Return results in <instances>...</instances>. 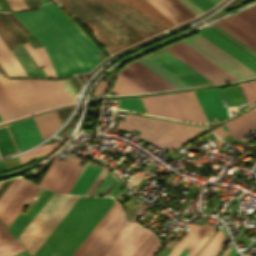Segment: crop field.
<instances>
[{
	"label": "crop field",
	"mask_w": 256,
	"mask_h": 256,
	"mask_svg": "<svg viewBox=\"0 0 256 256\" xmlns=\"http://www.w3.org/2000/svg\"><path fill=\"white\" fill-rule=\"evenodd\" d=\"M11 14L45 47L58 76L90 71L102 61L96 45L52 3Z\"/></svg>",
	"instance_id": "crop-field-1"
},
{
	"label": "crop field",
	"mask_w": 256,
	"mask_h": 256,
	"mask_svg": "<svg viewBox=\"0 0 256 256\" xmlns=\"http://www.w3.org/2000/svg\"><path fill=\"white\" fill-rule=\"evenodd\" d=\"M86 23L111 52L165 27L138 0H57Z\"/></svg>",
	"instance_id": "crop-field-2"
},
{
	"label": "crop field",
	"mask_w": 256,
	"mask_h": 256,
	"mask_svg": "<svg viewBox=\"0 0 256 256\" xmlns=\"http://www.w3.org/2000/svg\"><path fill=\"white\" fill-rule=\"evenodd\" d=\"M114 202L81 196L34 256H71Z\"/></svg>",
	"instance_id": "crop-field-3"
},
{
	"label": "crop field",
	"mask_w": 256,
	"mask_h": 256,
	"mask_svg": "<svg viewBox=\"0 0 256 256\" xmlns=\"http://www.w3.org/2000/svg\"><path fill=\"white\" fill-rule=\"evenodd\" d=\"M136 127L137 130L142 131L138 136L167 152L175 150L179 145L195 137L194 133L206 128L130 114H128L125 122L119 121L116 128L130 131Z\"/></svg>",
	"instance_id": "crop-field-4"
},
{
	"label": "crop field",
	"mask_w": 256,
	"mask_h": 256,
	"mask_svg": "<svg viewBox=\"0 0 256 256\" xmlns=\"http://www.w3.org/2000/svg\"><path fill=\"white\" fill-rule=\"evenodd\" d=\"M11 82L31 113L70 102L58 81L11 80Z\"/></svg>",
	"instance_id": "crop-field-5"
},
{
	"label": "crop field",
	"mask_w": 256,
	"mask_h": 256,
	"mask_svg": "<svg viewBox=\"0 0 256 256\" xmlns=\"http://www.w3.org/2000/svg\"><path fill=\"white\" fill-rule=\"evenodd\" d=\"M189 47L210 60L222 70L239 80L251 76H256L251 70L230 57L228 54L217 48L215 45L198 35L184 41Z\"/></svg>",
	"instance_id": "crop-field-6"
},
{
	"label": "crop field",
	"mask_w": 256,
	"mask_h": 256,
	"mask_svg": "<svg viewBox=\"0 0 256 256\" xmlns=\"http://www.w3.org/2000/svg\"><path fill=\"white\" fill-rule=\"evenodd\" d=\"M165 49L214 83L235 80L182 42Z\"/></svg>",
	"instance_id": "crop-field-7"
},
{
	"label": "crop field",
	"mask_w": 256,
	"mask_h": 256,
	"mask_svg": "<svg viewBox=\"0 0 256 256\" xmlns=\"http://www.w3.org/2000/svg\"><path fill=\"white\" fill-rule=\"evenodd\" d=\"M119 73L147 92L176 88L138 61L128 64Z\"/></svg>",
	"instance_id": "crop-field-8"
},
{
	"label": "crop field",
	"mask_w": 256,
	"mask_h": 256,
	"mask_svg": "<svg viewBox=\"0 0 256 256\" xmlns=\"http://www.w3.org/2000/svg\"><path fill=\"white\" fill-rule=\"evenodd\" d=\"M68 196L54 193L17 238L27 249Z\"/></svg>",
	"instance_id": "crop-field-9"
},
{
	"label": "crop field",
	"mask_w": 256,
	"mask_h": 256,
	"mask_svg": "<svg viewBox=\"0 0 256 256\" xmlns=\"http://www.w3.org/2000/svg\"><path fill=\"white\" fill-rule=\"evenodd\" d=\"M129 223H125L121 209L115 214L83 256H103Z\"/></svg>",
	"instance_id": "crop-field-10"
},
{
	"label": "crop field",
	"mask_w": 256,
	"mask_h": 256,
	"mask_svg": "<svg viewBox=\"0 0 256 256\" xmlns=\"http://www.w3.org/2000/svg\"><path fill=\"white\" fill-rule=\"evenodd\" d=\"M164 51V49L157 51L150 56H153L159 52ZM152 60L169 70L171 73L182 79L188 84L192 83H200V82H208L209 80L188 67L186 64L169 54L168 52L164 51L156 56L150 57ZM207 84H213L212 82L208 83H200V84H192L191 86H197V85H207Z\"/></svg>",
	"instance_id": "crop-field-11"
},
{
	"label": "crop field",
	"mask_w": 256,
	"mask_h": 256,
	"mask_svg": "<svg viewBox=\"0 0 256 256\" xmlns=\"http://www.w3.org/2000/svg\"><path fill=\"white\" fill-rule=\"evenodd\" d=\"M148 114L186 121L173 94L141 98Z\"/></svg>",
	"instance_id": "crop-field-12"
},
{
	"label": "crop field",
	"mask_w": 256,
	"mask_h": 256,
	"mask_svg": "<svg viewBox=\"0 0 256 256\" xmlns=\"http://www.w3.org/2000/svg\"><path fill=\"white\" fill-rule=\"evenodd\" d=\"M211 226L204 223L203 226L193 224L182 240L176 245L168 256H179L184 248L191 250L187 256H193L209 239L212 233L216 230L217 226ZM214 228V229H213ZM210 229V230H209ZM213 231L211 232V230ZM209 230V231H208ZM208 231V233H207ZM211 232V233H210ZM207 233V236L205 235Z\"/></svg>",
	"instance_id": "crop-field-13"
},
{
	"label": "crop field",
	"mask_w": 256,
	"mask_h": 256,
	"mask_svg": "<svg viewBox=\"0 0 256 256\" xmlns=\"http://www.w3.org/2000/svg\"><path fill=\"white\" fill-rule=\"evenodd\" d=\"M209 122L229 117L215 88L194 91Z\"/></svg>",
	"instance_id": "crop-field-14"
},
{
	"label": "crop field",
	"mask_w": 256,
	"mask_h": 256,
	"mask_svg": "<svg viewBox=\"0 0 256 256\" xmlns=\"http://www.w3.org/2000/svg\"><path fill=\"white\" fill-rule=\"evenodd\" d=\"M200 35L256 73V61L254 59L212 31L210 28H204Z\"/></svg>",
	"instance_id": "crop-field-15"
},
{
	"label": "crop field",
	"mask_w": 256,
	"mask_h": 256,
	"mask_svg": "<svg viewBox=\"0 0 256 256\" xmlns=\"http://www.w3.org/2000/svg\"><path fill=\"white\" fill-rule=\"evenodd\" d=\"M175 25L195 17L177 0H147Z\"/></svg>",
	"instance_id": "crop-field-16"
},
{
	"label": "crop field",
	"mask_w": 256,
	"mask_h": 256,
	"mask_svg": "<svg viewBox=\"0 0 256 256\" xmlns=\"http://www.w3.org/2000/svg\"><path fill=\"white\" fill-rule=\"evenodd\" d=\"M149 233L135 223L110 256H132Z\"/></svg>",
	"instance_id": "crop-field-17"
},
{
	"label": "crop field",
	"mask_w": 256,
	"mask_h": 256,
	"mask_svg": "<svg viewBox=\"0 0 256 256\" xmlns=\"http://www.w3.org/2000/svg\"><path fill=\"white\" fill-rule=\"evenodd\" d=\"M37 189L38 187L34 186L32 183L28 181L26 182L23 188L0 216V220L5 226H9V224L13 221V219L17 216V214L21 211Z\"/></svg>",
	"instance_id": "crop-field-18"
},
{
	"label": "crop field",
	"mask_w": 256,
	"mask_h": 256,
	"mask_svg": "<svg viewBox=\"0 0 256 256\" xmlns=\"http://www.w3.org/2000/svg\"><path fill=\"white\" fill-rule=\"evenodd\" d=\"M79 197L80 196H69L64 204L60 207V209L56 212V214L52 217L49 223L27 249L32 256L54 230V228L59 224V222L63 219V217L67 214V212L71 209V207L75 204V202L79 199Z\"/></svg>",
	"instance_id": "crop-field-19"
},
{
	"label": "crop field",
	"mask_w": 256,
	"mask_h": 256,
	"mask_svg": "<svg viewBox=\"0 0 256 256\" xmlns=\"http://www.w3.org/2000/svg\"><path fill=\"white\" fill-rule=\"evenodd\" d=\"M10 126L22 150L42 140L32 118Z\"/></svg>",
	"instance_id": "crop-field-20"
},
{
	"label": "crop field",
	"mask_w": 256,
	"mask_h": 256,
	"mask_svg": "<svg viewBox=\"0 0 256 256\" xmlns=\"http://www.w3.org/2000/svg\"><path fill=\"white\" fill-rule=\"evenodd\" d=\"M240 13L256 24V5ZM241 14L237 13L223 20H225L226 22L234 26L236 29H238L239 31H241L242 33L256 41V25L248 19H246Z\"/></svg>",
	"instance_id": "crop-field-21"
},
{
	"label": "crop field",
	"mask_w": 256,
	"mask_h": 256,
	"mask_svg": "<svg viewBox=\"0 0 256 256\" xmlns=\"http://www.w3.org/2000/svg\"><path fill=\"white\" fill-rule=\"evenodd\" d=\"M186 118L190 122H207L192 91L175 94Z\"/></svg>",
	"instance_id": "crop-field-22"
},
{
	"label": "crop field",
	"mask_w": 256,
	"mask_h": 256,
	"mask_svg": "<svg viewBox=\"0 0 256 256\" xmlns=\"http://www.w3.org/2000/svg\"><path fill=\"white\" fill-rule=\"evenodd\" d=\"M0 92L9 104L16 117L30 114V111L15 90L10 80L2 76H0Z\"/></svg>",
	"instance_id": "crop-field-23"
},
{
	"label": "crop field",
	"mask_w": 256,
	"mask_h": 256,
	"mask_svg": "<svg viewBox=\"0 0 256 256\" xmlns=\"http://www.w3.org/2000/svg\"><path fill=\"white\" fill-rule=\"evenodd\" d=\"M52 194L53 192L46 190L27 215L21 213L18 214L12 224L8 227L16 238L33 219L37 212L42 208V206L47 202V200L52 196Z\"/></svg>",
	"instance_id": "crop-field-24"
},
{
	"label": "crop field",
	"mask_w": 256,
	"mask_h": 256,
	"mask_svg": "<svg viewBox=\"0 0 256 256\" xmlns=\"http://www.w3.org/2000/svg\"><path fill=\"white\" fill-rule=\"evenodd\" d=\"M0 65L8 76H27L24 69L0 36Z\"/></svg>",
	"instance_id": "crop-field-25"
},
{
	"label": "crop field",
	"mask_w": 256,
	"mask_h": 256,
	"mask_svg": "<svg viewBox=\"0 0 256 256\" xmlns=\"http://www.w3.org/2000/svg\"><path fill=\"white\" fill-rule=\"evenodd\" d=\"M21 151L9 125L0 127V156H8Z\"/></svg>",
	"instance_id": "crop-field-26"
},
{
	"label": "crop field",
	"mask_w": 256,
	"mask_h": 256,
	"mask_svg": "<svg viewBox=\"0 0 256 256\" xmlns=\"http://www.w3.org/2000/svg\"><path fill=\"white\" fill-rule=\"evenodd\" d=\"M89 165L97 166L99 165L95 162H89ZM87 165L86 169L82 173L81 177L77 181V183L74 185L72 190L69 192V194H82L86 192L92 181L95 179L99 171L101 170V167H93Z\"/></svg>",
	"instance_id": "crop-field-27"
},
{
	"label": "crop field",
	"mask_w": 256,
	"mask_h": 256,
	"mask_svg": "<svg viewBox=\"0 0 256 256\" xmlns=\"http://www.w3.org/2000/svg\"><path fill=\"white\" fill-rule=\"evenodd\" d=\"M33 119L43 139L61 125L55 112L37 116Z\"/></svg>",
	"instance_id": "crop-field-28"
},
{
	"label": "crop field",
	"mask_w": 256,
	"mask_h": 256,
	"mask_svg": "<svg viewBox=\"0 0 256 256\" xmlns=\"http://www.w3.org/2000/svg\"><path fill=\"white\" fill-rule=\"evenodd\" d=\"M139 61L144 65H146L151 70H153L154 72H156L157 74H159L160 76H162L163 78H165L166 80H168L170 83H172L176 87L178 88L189 87L188 84H186L185 82H183L182 80H180L179 78H177L176 76H174L173 74H171L170 72H168L167 70H165L164 68L156 64L155 62H153L152 60H150L149 58L145 57Z\"/></svg>",
	"instance_id": "crop-field-29"
},
{
	"label": "crop field",
	"mask_w": 256,
	"mask_h": 256,
	"mask_svg": "<svg viewBox=\"0 0 256 256\" xmlns=\"http://www.w3.org/2000/svg\"><path fill=\"white\" fill-rule=\"evenodd\" d=\"M2 182H0V185L2 184ZM25 182H26V180L15 178L14 181L10 184V186L1 195V197H0V214L7 207V205L11 202V200L18 193V191L22 188V186L25 184Z\"/></svg>",
	"instance_id": "crop-field-30"
},
{
	"label": "crop field",
	"mask_w": 256,
	"mask_h": 256,
	"mask_svg": "<svg viewBox=\"0 0 256 256\" xmlns=\"http://www.w3.org/2000/svg\"><path fill=\"white\" fill-rule=\"evenodd\" d=\"M116 204H117V203L115 202L114 205L109 209V211L105 214V216H104V217L101 219V221L96 225V227L92 230V232L88 235V237L83 241V243L79 246V248L75 251V253H74L72 256H75V255L79 252V250L83 247V245L87 242V240L91 237V235L95 232V230L99 227V225L103 222V220L107 217V215L111 212V210L115 207ZM117 206H118V204L116 205V207H117ZM116 207L112 210V212L116 209ZM119 208H120V207L118 206L117 209L113 212V214H112V212H111V213L108 215V217H109V216L112 214L109 218L107 217L108 220H107V218L104 220V222H105L106 220H107V221H106L105 223L103 222L104 225H103V223L100 225V227H101L102 225H103V226H102L101 228L99 227L100 230H99V228L96 230V232H97L98 230H99V231H98L97 233L95 232L96 234L94 233L95 236H94V234L92 235V237H93V236H94V237H93V238L91 237L92 239L90 238L91 241H90V239L88 240V242H89V241H90V242H89V243L87 242L88 244L86 243L87 246H86V244L84 245V247H85V246H86V247H85V248L83 247L84 249L82 248L83 251H82V249L80 250V252H81V251H82V252H81V253L79 252L80 254L78 253V254H79V255L77 254L78 256H82V254L86 251V249L90 246V244L94 241V239L98 236V234L102 231V229L106 226V224L110 221V219L114 216V214L118 211ZM77 255H76V256H77Z\"/></svg>",
	"instance_id": "crop-field-31"
},
{
	"label": "crop field",
	"mask_w": 256,
	"mask_h": 256,
	"mask_svg": "<svg viewBox=\"0 0 256 256\" xmlns=\"http://www.w3.org/2000/svg\"><path fill=\"white\" fill-rule=\"evenodd\" d=\"M117 94H132L145 92L140 87L126 79L121 74H118L114 87L112 89Z\"/></svg>",
	"instance_id": "crop-field-32"
},
{
	"label": "crop field",
	"mask_w": 256,
	"mask_h": 256,
	"mask_svg": "<svg viewBox=\"0 0 256 256\" xmlns=\"http://www.w3.org/2000/svg\"><path fill=\"white\" fill-rule=\"evenodd\" d=\"M215 24L256 52V43L253 40L239 32L223 20Z\"/></svg>",
	"instance_id": "crop-field-33"
},
{
	"label": "crop field",
	"mask_w": 256,
	"mask_h": 256,
	"mask_svg": "<svg viewBox=\"0 0 256 256\" xmlns=\"http://www.w3.org/2000/svg\"><path fill=\"white\" fill-rule=\"evenodd\" d=\"M224 125L231 132L229 134L232 135L237 140L243 137L245 134H247L251 130H253L238 117Z\"/></svg>",
	"instance_id": "crop-field-34"
},
{
	"label": "crop field",
	"mask_w": 256,
	"mask_h": 256,
	"mask_svg": "<svg viewBox=\"0 0 256 256\" xmlns=\"http://www.w3.org/2000/svg\"><path fill=\"white\" fill-rule=\"evenodd\" d=\"M14 55L17 57L19 62L24 67L28 76H39L33 62L29 59V57L24 53L20 46L11 49Z\"/></svg>",
	"instance_id": "crop-field-35"
},
{
	"label": "crop field",
	"mask_w": 256,
	"mask_h": 256,
	"mask_svg": "<svg viewBox=\"0 0 256 256\" xmlns=\"http://www.w3.org/2000/svg\"><path fill=\"white\" fill-rule=\"evenodd\" d=\"M159 247L156 237L151 233L134 256H153Z\"/></svg>",
	"instance_id": "crop-field-36"
},
{
	"label": "crop field",
	"mask_w": 256,
	"mask_h": 256,
	"mask_svg": "<svg viewBox=\"0 0 256 256\" xmlns=\"http://www.w3.org/2000/svg\"><path fill=\"white\" fill-rule=\"evenodd\" d=\"M63 164H64L63 161L54 159L53 163L51 164L43 180L40 182L39 186L49 189L55 177L57 176L58 172L60 171L61 167L63 166Z\"/></svg>",
	"instance_id": "crop-field-37"
},
{
	"label": "crop field",
	"mask_w": 256,
	"mask_h": 256,
	"mask_svg": "<svg viewBox=\"0 0 256 256\" xmlns=\"http://www.w3.org/2000/svg\"><path fill=\"white\" fill-rule=\"evenodd\" d=\"M21 251L24 249L16 240L0 245V256H10Z\"/></svg>",
	"instance_id": "crop-field-38"
},
{
	"label": "crop field",
	"mask_w": 256,
	"mask_h": 256,
	"mask_svg": "<svg viewBox=\"0 0 256 256\" xmlns=\"http://www.w3.org/2000/svg\"><path fill=\"white\" fill-rule=\"evenodd\" d=\"M240 87L249 103L252 104L256 102V81L240 84Z\"/></svg>",
	"instance_id": "crop-field-39"
},
{
	"label": "crop field",
	"mask_w": 256,
	"mask_h": 256,
	"mask_svg": "<svg viewBox=\"0 0 256 256\" xmlns=\"http://www.w3.org/2000/svg\"><path fill=\"white\" fill-rule=\"evenodd\" d=\"M223 234L220 230L212 237V239L207 243V245L202 249L198 256H209L218 243L222 240Z\"/></svg>",
	"instance_id": "crop-field-40"
},
{
	"label": "crop field",
	"mask_w": 256,
	"mask_h": 256,
	"mask_svg": "<svg viewBox=\"0 0 256 256\" xmlns=\"http://www.w3.org/2000/svg\"><path fill=\"white\" fill-rule=\"evenodd\" d=\"M119 107L146 113L139 98L122 99Z\"/></svg>",
	"instance_id": "crop-field-41"
},
{
	"label": "crop field",
	"mask_w": 256,
	"mask_h": 256,
	"mask_svg": "<svg viewBox=\"0 0 256 256\" xmlns=\"http://www.w3.org/2000/svg\"><path fill=\"white\" fill-rule=\"evenodd\" d=\"M209 27H211L212 29H214L215 31H217L218 33H220L221 35L226 37L228 40H230L231 42H233L234 44H236L237 46H239L240 48H242L243 50H245L246 52H248L249 54H251L252 56H254L256 58V53L254 51H252L251 49L246 47L244 44H242L241 42H239L238 40H236L235 38H233L232 36H230L229 34L224 32L222 29H220L216 25L213 24Z\"/></svg>",
	"instance_id": "crop-field-42"
},
{
	"label": "crop field",
	"mask_w": 256,
	"mask_h": 256,
	"mask_svg": "<svg viewBox=\"0 0 256 256\" xmlns=\"http://www.w3.org/2000/svg\"><path fill=\"white\" fill-rule=\"evenodd\" d=\"M18 157H19L20 162H21L22 165L29 162L34 157L37 158L38 160L44 158L40 147H37V148H35V149H33V150L23 154V155H19Z\"/></svg>",
	"instance_id": "crop-field-43"
},
{
	"label": "crop field",
	"mask_w": 256,
	"mask_h": 256,
	"mask_svg": "<svg viewBox=\"0 0 256 256\" xmlns=\"http://www.w3.org/2000/svg\"><path fill=\"white\" fill-rule=\"evenodd\" d=\"M0 19L7 27V29L10 31V33L13 35L18 44L26 41L22 34L5 18V16L2 13H0Z\"/></svg>",
	"instance_id": "crop-field-44"
},
{
	"label": "crop field",
	"mask_w": 256,
	"mask_h": 256,
	"mask_svg": "<svg viewBox=\"0 0 256 256\" xmlns=\"http://www.w3.org/2000/svg\"><path fill=\"white\" fill-rule=\"evenodd\" d=\"M0 116L3 119V121L10 120L15 118V115L9 108L8 104L0 94Z\"/></svg>",
	"instance_id": "crop-field-45"
},
{
	"label": "crop field",
	"mask_w": 256,
	"mask_h": 256,
	"mask_svg": "<svg viewBox=\"0 0 256 256\" xmlns=\"http://www.w3.org/2000/svg\"><path fill=\"white\" fill-rule=\"evenodd\" d=\"M107 170L105 169V166L103 167L102 171L99 173L95 181L92 183L88 191L85 193V195H92V193L95 191L97 186L100 184L104 176L107 174Z\"/></svg>",
	"instance_id": "crop-field-46"
},
{
	"label": "crop field",
	"mask_w": 256,
	"mask_h": 256,
	"mask_svg": "<svg viewBox=\"0 0 256 256\" xmlns=\"http://www.w3.org/2000/svg\"><path fill=\"white\" fill-rule=\"evenodd\" d=\"M6 1H7L8 6L12 10H22V9L27 8V6L23 0H6Z\"/></svg>",
	"instance_id": "crop-field-47"
},
{
	"label": "crop field",
	"mask_w": 256,
	"mask_h": 256,
	"mask_svg": "<svg viewBox=\"0 0 256 256\" xmlns=\"http://www.w3.org/2000/svg\"><path fill=\"white\" fill-rule=\"evenodd\" d=\"M0 26L2 27V29L6 32V34L9 36V38L11 39L12 43L17 46V42L14 40V38L11 36V34L9 33V31L6 29V27L3 25V23L0 20ZM0 27V33L2 34V36L5 38V40L8 42V44L11 46V48L15 47L11 41L9 40L8 36L5 34V32L1 29Z\"/></svg>",
	"instance_id": "crop-field-48"
},
{
	"label": "crop field",
	"mask_w": 256,
	"mask_h": 256,
	"mask_svg": "<svg viewBox=\"0 0 256 256\" xmlns=\"http://www.w3.org/2000/svg\"><path fill=\"white\" fill-rule=\"evenodd\" d=\"M194 2L198 7H200L204 12L216 5L211 0H191Z\"/></svg>",
	"instance_id": "crop-field-49"
},
{
	"label": "crop field",
	"mask_w": 256,
	"mask_h": 256,
	"mask_svg": "<svg viewBox=\"0 0 256 256\" xmlns=\"http://www.w3.org/2000/svg\"><path fill=\"white\" fill-rule=\"evenodd\" d=\"M140 1L143 4H145L149 9H151L155 14H157L161 19H163L167 24H169L171 27L175 26L167 18H165L160 12H158L154 7H152L147 1L145 0H140Z\"/></svg>",
	"instance_id": "crop-field-50"
},
{
	"label": "crop field",
	"mask_w": 256,
	"mask_h": 256,
	"mask_svg": "<svg viewBox=\"0 0 256 256\" xmlns=\"http://www.w3.org/2000/svg\"><path fill=\"white\" fill-rule=\"evenodd\" d=\"M63 141H59V142H56V143H53V144H48V145L41 146L42 151L44 153V156L48 155L51 151H53Z\"/></svg>",
	"instance_id": "crop-field-51"
},
{
	"label": "crop field",
	"mask_w": 256,
	"mask_h": 256,
	"mask_svg": "<svg viewBox=\"0 0 256 256\" xmlns=\"http://www.w3.org/2000/svg\"><path fill=\"white\" fill-rule=\"evenodd\" d=\"M133 224L134 223L129 224V226L125 229V231L120 235V237L116 240V242L112 245V247L108 250V252L104 256H109V254L113 251V249L117 246V244L121 241V239L129 231V229L133 226Z\"/></svg>",
	"instance_id": "crop-field-52"
},
{
	"label": "crop field",
	"mask_w": 256,
	"mask_h": 256,
	"mask_svg": "<svg viewBox=\"0 0 256 256\" xmlns=\"http://www.w3.org/2000/svg\"><path fill=\"white\" fill-rule=\"evenodd\" d=\"M184 4H186L191 10H193L196 14L203 13L195 4H193L190 0H181Z\"/></svg>",
	"instance_id": "crop-field-53"
},
{
	"label": "crop field",
	"mask_w": 256,
	"mask_h": 256,
	"mask_svg": "<svg viewBox=\"0 0 256 256\" xmlns=\"http://www.w3.org/2000/svg\"><path fill=\"white\" fill-rule=\"evenodd\" d=\"M147 171V169H145L140 175L135 174L127 183L128 185H130L131 187L135 184H137V182L141 179V177L145 174V172Z\"/></svg>",
	"instance_id": "crop-field-54"
},
{
	"label": "crop field",
	"mask_w": 256,
	"mask_h": 256,
	"mask_svg": "<svg viewBox=\"0 0 256 256\" xmlns=\"http://www.w3.org/2000/svg\"><path fill=\"white\" fill-rule=\"evenodd\" d=\"M18 27L19 29L25 34H30V32L28 30H26L21 24L19 21H17L10 13H7L6 14Z\"/></svg>",
	"instance_id": "crop-field-55"
},
{
	"label": "crop field",
	"mask_w": 256,
	"mask_h": 256,
	"mask_svg": "<svg viewBox=\"0 0 256 256\" xmlns=\"http://www.w3.org/2000/svg\"><path fill=\"white\" fill-rule=\"evenodd\" d=\"M27 37H28V39L30 40V41H28V42L31 44V46H32L33 48H36V47H40V46H41V45L39 44V42L33 37L32 34L27 35Z\"/></svg>",
	"instance_id": "crop-field-56"
},
{
	"label": "crop field",
	"mask_w": 256,
	"mask_h": 256,
	"mask_svg": "<svg viewBox=\"0 0 256 256\" xmlns=\"http://www.w3.org/2000/svg\"><path fill=\"white\" fill-rule=\"evenodd\" d=\"M213 133H215L217 136H219L220 138L223 137L226 133L223 131V129L221 127L215 129L214 131H212Z\"/></svg>",
	"instance_id": "crop-field-57"
},
{
	"label": "crop field",
	"mask_w": 256,
	"mask_h": 256,
	"mask_svg": "<svg viewBox=\"0 0 256 256\" xmlns=\"http://www.w3.org/2000/svg\"><path fill=\"white\" fill-rule=\"evenodd\" d=\"M226 242L225 238L219 243V245L215 248V250L211 253L210 256H213L220 248L221 246ZM216 255V254H215Z\"/></svg>",
	"instance_id": "crop-field-58"
},
{
	"label": "crop field",
	"mask_w": 256,
	"mask_h": 256,
	"mask_svg": "<svg viewBox=\"0 0 256 256\" xmlns=\"http://www.w3.org/2000/svg\"><path fill=\"white\" fill-rule=\"evenodd\" d=\"M87 164H88V161H87V163L85 164V166L82 167V169L80 170L78 176L76 177V179L74 180V182L72 183V185H74V184L76 183V181H77L78 178L80 177L81 173L83 172V170L85 169V167H86ZM72 187H73V186H72ZM70 188H71V186H70ZM70 188H69V189H70ZM68 191H69V190H68ZM68 191H67V193H68Z\"/></svg>",
	"instance_id": "crop-field-59"
},
{
	"label": "crop field",
	"mask_w": 256,
	"mask_h": 256,
	"mask_svg": "<svg viewBox=\"0 0 256 256\" xmlns=\"http://www.w3.org/2000/svg\"><path fill=\"white\" fill-rule=\"evenodd\" d=\"M5 4H3L2 0H0V5L3 8L4 11H9V7L6 4V1L4 0Z\"/></svg>",
	"instance_id": "crop-field-60"
},
{
	"label": "crop field",
	"mask_w": 256,
	"mask_h": 256,
	"mask_svg": "<svg viewBox=\"0 0 256 256\" xmlns=\"http://www.w3.org/2000/svg\"><path fill=\"white\" fill-rule=\"evenodd\" d=\"M172 249H163L162 252L158 256H167V254L171 251Z\"/></svg>",
	"instance_id": "crop-field-61"
},
{
	"label": "crop field",
	"mask_w": 256,
	"mask_h": 256,
	"mask_svg": "<svg viewBox=\"0 0 256 256\" xmlns=\"http://www.w3.org/2000/svg\"><path fill=\"white\" fill-rule=\"evenodd\" d=\"M13 256H30L26 251L21 252L19 254L13 255Z\"/></svg>",
	"instance_id": "crop-field-62"
},
{
	"label": "crop field",
	"mask_w": 256,
	"mask_h": 256,
	"mask_svg": "<svg viewBox=\"0 0 256 256\" xmlns=\"http://www.w3.org/2000/svg\"><path fill=\"white\" fill-rule=\"evenodd\" d=\"M189 252V250H186V249H184V251L181 253V255L180 256H186L187 255V253Z\"/></svg>",
	"instance_id": "crop-field-63"
},
{
	"label": "crop field",
	"mask_w": 256,
	"mask_h": 256,
	"mask_svg": "<svg viewBox=\"0 0 256 256\" xmlns=\"http://www.w3.org/2000/svg\"><path fill=\"white\" fill-rule=\"evenodd\" d=\"M227 256H235L233 250Z\"/></svg>",
	"instance_id": "crop-field-64"
},
{
	"label": "crop field",
	"mask_w": 256,
	"mask_h": 256,
	"mask_svg": "<svg viewBox=\"0 0 256 256\" xmlns=\"http://www.w3.org/2000/svg\"><path fill=\"white\" fill-rule=\"evenodd\" d=\"M223 129H224V131L226 132V133H229V131L226 129V127L223 125V126H221Z\"/></svg>",
	"instance_id": "crop-field-65"
},
{
	"label": "crop field",
	"mask_w": 256,
	"mask_h": 256,
	"mask_svg": "<svg viewBox=\"0 0 256 256\" xmlns=\"http://www.w3.org/2000/svg\"><path fill=\"white\" fill-rule=\"evenodd\" d=\"M42 4L48 3L47 0H40Z\"/></svg>",
	"instance_id": "crop-field-66"
},
{
	"label": "crop field",
	"mask_w": 256,
	"mask_h": 256,
	"mask_svg": "<svg viewBox=\"0 0 256 256\" xmlns=\"http://www.w3.org/2000/svg\"><path fill=\"white\" fill-rule=\"evenodd\" d=\"M216 4L219 2V1H221V0H213Z\"/></svg>",
	"instance_id": "crop-field-67"
},
{
	"label": "crop field",
	"mask_w": 256,
	"mask_h": 256,
	"mask_svg": "<svg viewBox=\"0 0 256 256\" xmlns=\"http://www.w3.org/2000/svg\"><path fill=\"white\" fill-rule=\"evenodd\" d=\"M215 256H220V254L216 253V255H215Z\"/></svg>",
	"instance_id": "crop-field-68"
},
{
	"label": "crop field",
	"mask_w": 256,
	"mask_h": 256,
	"mask_svg": "<svg viewBox=\"0 0 256 256\" xmlns=\"http://www.w3.org/2000/svg\"><path fill=\"white\" fill-rule=\"evenodd\" d=\"M0 121H2V119L0 118Z\"/></svg>",
	"instance_id": "crop-field-69"
},
{
	"label": "crop field",
	"mask_w": 256,
	"mask_h": 256,
	"mask_svg": "<svg viewBox=\"0 0 256 256\" xmlns=\"http://www.w3.org/2000/svg\"><path fill=\"white\" fill-rule=\"evenodd\" d=\"M253 109H255V110H256V107H255V108H253Z\"/></svg>",
	"instance_id": "crop-field-70"
}]
</instances>
